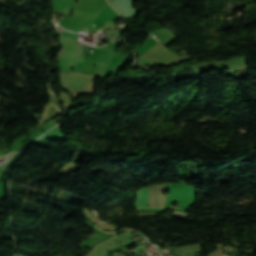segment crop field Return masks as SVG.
<instances>
[{
    "mask_svg": "<svg viewBox=\"0 0 256 256\" xmlns=\"http://www.w3.org/2000/svg\"><path fill=\"white\" fill-rule=\"evenodd\" d=\"M186 216V215H185Z\"/></svg>",
    "mask_w": 256,
    "mask_h": 256,
    "instance_id": "8a807250",
    "label": "crop field"
}]
</instances>
